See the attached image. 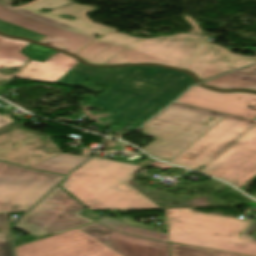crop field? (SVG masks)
I'll list each match as a JSON object with an SVG mask.
<instances>
[{
    "label": "crop field",
    "instance_id": "4a817a6b",
    "mask_svg": "<svg viewBox=\"0 0 256 256\" xmlns=\"http://www.w3.org/2000/svg\"><path fill=\"white\" fill-rule=\"evenodd\" d=\"M86 159L87 157L61 153L57 156L33 165L30 168L66 175L70 170H72Z\"/></svg>",
    "mask_w": 256,
    "mask_h": 256
},
{
    "label": "crop field",
    "instance_id": "22f410ed",
    "mask_svg": "<svg viewBox=\"0 0 256 256\" xmlns=\"http://www.w3.org/2000/svg\"><path fill=\"white\" fill-rule=\"evenodd\" d=\"M175 102L250 119L256 117V94L253 93H221L193 86Z\"/></svg>",
    "mask_w": 256,
    "mask_h": 256
},
{
    "label": "crop field",
    "instance_id": "00972430",
    "mask_svg": "<svg viewBox=\"0 0 256 256\" xmlns=\"http://www.w3.org/2000/svg\"><path fill=\"white\" fill-rule=\"evenodd\" d=\"M148 166H152V167L163 169V170L174 167V166L164 164V163H161V162H158V161L150 163V164H148Z\"/></svg>",
    "mask_w": 256,
    "mask_h": 256
},
{
    "label": "crop field",
    "instance_id": "f4fd0767",
    "mask_svg": "<svg viewBox=\"0 0 256 256\" xmlns=\"http://www.w3.org/2000/svg\"><path fill=\"white\" fill-rule=\"evenodd\" d=\"M169 242L256 256V242L244 236L251 220L166 209Z\"/></svg>",
    "mask_w": 256,
    "mask_h": 256
},
{
    "label": "crop field",
    "instance_id": "34b2d1b8",
    "mask_svg": "<svg viewBox=\"0 0 256 256\" xmlns=\"http://www.w3.org/2000/svg\"><path fill=\"white\" fill-rule=\"evenodd\" d=\"M11 0H0V32L23 36L58 49L75 53L95 39L94 34L104 35L115 29L98 25L89 20L87 12L92 6H82L70 0H34L24 6L10 7ZM40 9H49L38 13ZM72 15L77 20L59 18Z\"/></svg>",
    "mask_w": 256,
    "mask_h": 256
},
{
    "label": "crop field",
    "instance_id": "412701ff",
    "mask_svg": "<svg viewBox=\"0 0 256 256\" xmlns=\"http://www.w3.org/2000/svg\"><path fill=\"white\" fill-rule=\"evenodd\" d=\"M141 168L94 157L74 170L61 187L90 210L160 208L127 183Z\"/></svg>",
    "mask_w": 256,
    "mask_h": 256
},
{
    "label": "crop field",
    "instance_id": "e52e79f7",
    "mask_svg": "<svg viewBox=\"0 0 256 256\" xmlns=\"http://www.w3.org/2000/svg\"><path fill=\"white\" fill-rule=\"evenodd\" d=\"M62 178L0 162V212L27 210Z\"/></svg>",
    "mask_w": 256,
    "mask_h": 256
},
{
    "label": "crop field",
    "instance_id": "d9b57169",
    "mask_svg": "<svg viewBox=\"0 0 256 256\" xmlns=\"http://www.w3.org/2000/svg\"><path fill=\"white\" fill-rule=\"evenodd\" d=\"M204 84L220 89L246 88L256 90V64L231 72Z\"/></svg>",
    "mask_w": 256,
    "mask_h": 256
},
{
    "label": "crop field",
    "instance_id": "d8731c3e",
    "mask_svg": "<svg viewBox=\"0 0 256 256\" xmlns=\"http://www.w3.org/2000/svg\"><path fill=\"white\" fill-rule=\"evenodd\" d=\"M84 207L66 195L58 186L33 210L25 215L16 228L36 235L57 233L92 222L79 215Z\"/></svg>",
    "mask_w": 256,
    "mask_h": 256
},
{
    "label": "crop field",
    "instance_id": "730fd06b",
    "mask_svg": "<svg viewBox=\"0 0 256 256\" xmlns=\"http://www.w3.org/2000/svg\"><path fill=\"white\" fill-rule=\"evenodd\" d=\"M104 256H121V255L116 253V252H113V253H110V254H107V255H104Z\"/></svg>",
    "mask_w": 256,
    "mask_h": 256
},
{
    "label": "crop field",
    "instance_id": "ac0d7876",
    "mask_svg": "<svg viewBox=\"0 0 256 256\" xmlns=\"http://www.w3.org/2000/svg\"><path fill=\"white\" fill-rule=\"evenodd\" d=\"M96 68L79 63L58 84L99 93L95 82L110 87L90 104L112 110L110 118L143 124L194 81L188 75L160 67ZM89 82L84 80L92 76Z\"/></svg>",
    "mask_w": 256,
    "mask_h": 256
},
{
    "label": "crop field",
    "instance_id": "5142ce71",
    "mask_svg": "<svg viewBox=\"0 0 256 256\" xmlns=\"http://www.w3.org/2000/svg\"><path fill=\"white\" fill-rule=\"evenodd\" d=\"M77 64L74 58L58 52L43 63L31 60L17 78L55 83Z\"/></svg>",
    "mask_w": 256,
    "mask_h": 256
},
{
    "label": "crop field",
    "instance_id": "dafd665d",
    "mask_svg": "<svg viewBox=\"0 0 256 256\" xmlns=\"http://www.w3.org/2000/svg\"><path fill=\"white\" fill-rule=\"evenodd\" d=\"M21 52L32 60L43 62L45 59L52 56L57 51L39 45L30 44L27 47H25Z\"/></svg>",
    "mask_w": 256,
    "mask_h": 256
},
{
    "label": "crop field",
    "instance_id": "eef30255",
    "mask_svg": "<svg viewBox=\"0 0 256 256\" xmlns=\"http://www.w3.org/2000/svg\"><path fill=\"white\" fill-rule=\"evenodd\" d=\"M55 120H59V121H63V122H67L69 124H71L72 122L71 121H67V120H63V119H58V118H55Z\"/></svg>",
    "mask_w": 256,
    "mask_h": 256
},
{
    "label": "crop field",
    "instance_id": "ae1a2a85",
    "mask_svg": "<svg viewBox=\"0 0 256 256\" xmlns=\"http://www.w3.org/2000/svg\"><path fill=\"white\" fill-rule=\"evenodd\" d=\"M4 81H5V80H3V79H0V84H1V83H3Z\"/></svg>",
    "mask_w": 256,
    "mask_h": 256
},
{
    "label": "crop field",
    "instance_id": "214f88e0",
    "mask_svg": "<svg viewBox=\"0 0 256 256\" xmlns=\"http://www.w3.org/2000/svg\"><path fill=\"white\" fill-rule=\"evenodd\" d=\"M172 256H246L170 243Z\"/></svg>",
    "mask_w": 256,
    "mask_h": 256
},
{
    "label": "crop field",
    "instance_id": "92a150f3",
    "mask_svg": "<svg viewBox=\"0 0 256 256\" xmlns=\"http://www.w3.org/2000/svg\"><path fill=\"white\" fill-rule=\"evenodd\" d=\"M0 256H13L8 213H0Z\"/></svg>",
    "mask_w": 256,
    "mask_h": 256
},
{
    "label": "crop field",
    "instance_id": "d1516ede",
    "mask_svg": "<svg viewBox=\"0 0 256 256\" xmlns=\"http://www.w3.org/2000/svg\"><path fill=\"white\" fill-rule=\"evenodd\" d=\"M17 256H100L112 249L75 229L16 248Z\"/></svg>",
    "mask_w": 256,
    "mask_h": 256
},
{
    "label": "crop field",
    "instance_id": "8a807250",
    "mask_svg": "<svg viewBox=\"0 0 256 256\" xmlns=\"http://www.w3.org/2000/svg\"><path fill=\"white\" fill-rule=\"evenodd\" d=\"M185 18L195 27L188 35L142 39L114 32L75 54L91 64L155 63L188 69L200 79L256 62V57L235 55L206 42L208 36H202L190 17Z\"/></svg>",
    "mask_w": 256,
    "mask_h": 256
},
{
    "label": "crop field",
    "instance_id": "733c2abd",
    "mask_svg": "<svg viewBox=\"0 0 256 256\" xmlns=\"http://www.w3.org/2000/svg\"><path fill=\"white\" fill-rule=\"evenodd\" d=\"M28 42L23 40H15L0 36V69L17 66L19 69L29 59L25 57L21 52ZM0 75V78L5 80L13 77Z\"/></svg>",
    "mask_w": 256,
    "mask_h": 256
},
{
    "label": "crop field",
    "instance_id": "4177f3b9",
    "mask_svg": "<svg viewBox=\"0 0 256 256\" xmlns=\"http://www.w3.org/2000/svg\"><path fill=\"white\" fill-rule=\"evenodd\" d=\"M226 72H229V71H226ZM226 72H223V73H220V74H216V75L210 76V77L205 78V79L200 80V81L202 82V81L208 80V79H210V78L216 77V76L221 75V74H224V73H226Z\"/></svg>",
    "mask_w": 256,
    "mask_h": 256
},
{
    "label": "crop field",
    "instance_id": "dd49c442",
    "mask_svg": "<svg viewBox=\"0 0 256 256\" xmlns=\"http://www.w3.org/2000/svg\"><path fill=\"white\" fill-rule=\"evenodd\" d=\"M224 116L226 115L173 103L142 126L145 134L157 139L142 150L169 162ZM209 118L214 119L206 126L202 125Z\"/></svg>",
    "mask_w": 256,
    "mask_h": 256
},
{
    "label": "crop field",
    "instance_id": "28ad6ade",
    "mask_svg": "<svg viewBox=\"0 0 256 256\" xmlns=\"http://www.w3.org/2000/svg\"><path fill=\"white\" fill-rule=\"evenodd\" d=\"M22 124L13 121L0 128V161L29 167L61 153L47 135L19 128ZM47 146L54 154L35 148Z\"/></svg>",
    "mask_w": 256,
    "mask_h": 256
},
{
    "label": "crop field",
    "instance_id": "3316defc",
    "mask_svg": "<svg viewBox=\"0 0 256 256\" xmlns=\"http://www.w3.org/2000/svg\"><path fill=\"white\" fill-rule=\"evenodd\" d=\"M201 172L229 182L239 189L252 180L256 176V126Z\"/></svg>",
    "mask_w": 256,
    "mask_h": 256
},
{
    "label": "crop field",
    "instance_id": "5a996713",
    "mask_svg": "<svg viewBox=\"0 0 256 256\" xmlns=\"http://www.w3.org/2000/svg\"><path fill=\"white\" fill-rule=\"evenodd\" d=\"M254 125V120L227 115L170 163L194 170L206 166Z\"/></svg>",
    "mask_w": 256,
    "mask_h": 256
},
{
    "label": "crop field",
    "instance_id": "cbeb9de0",
    "mask_svg": "<svg viewBox=\"0 0 256 256\" xmlns=\"http://www.w3.org/2000/svg\"><path fill=\"white\" fill-rule=\"evenodd\" d=\"M78 229L123 256H170L168 243L123 234L97 223Z\"/></svg>",
    "mask_w": 256,
    "mask_h": 256
},
{
    "label": "crop field",
    "instance_id": "bc2a9ffb",
    "mask_svg": "<svg viewBox=\"0 0 256 256\" xmlns=\"http://www.w3.org/2000/svg\"><path fill=\"white\" fill-rule=\"evenodd\" d=\"M99 223H101L109 228L120 231V232H125V233H129V234H134V235H140V236L168 242L167 234H165V233L134 228L129 225L120 223L114 219H105L103 221H99Z\"/></svg>",
    "mask_w": 256,
    "mask_h": 256
},
{
    "label": "crop field",
    "instance_id": "a9b5d70f",
    "mask_svg": "<svg viewBox=\"0 0 256 256\" xmlns=\"http://www.w3.org/2000/svg\"><path fill=\"white\" fill-rule=\"evenodd\" d=\"M11 121H13V120L8 119V118L3 117V116L0 115V126H2V125H4V124H7V123H9V122H11Z\"/></svg>",
    "mask_w": 256,
    "mask_h": 256
}]
</instances>
